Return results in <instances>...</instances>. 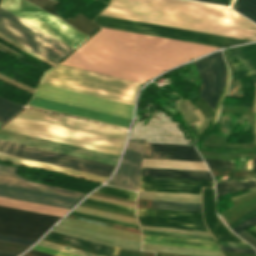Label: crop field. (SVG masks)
<instances>
[{
  "label": "crop field",
  "mask_w": 256,
  "mask_h": 256,
  "mask_svg": "<svg viewBox=\"0 0 256 256\" xmlns=\"http://www.w3.org/2000/svg\"><path fill=\"white\" fill-rule=\"evenodd\" d=\"M141 231L143 234H148V235L170 236V237L214 242L212 237H206V236H196V235H186V234H176V233H166V232H156V231H146V230H141Z\"/></svg>",
  "instance_id": "028f5c9d"
},
{
  "label": "crop field",
  "mask_w": 256,
  "mask_h": 256,
  "mask_svg": "<svg viewBox=\"0 0 256 256\" xmlns=\"http://www.w3.org/2000/svg\"><path fill=\"white\" fill-rule=\"evenodd\" d=\"M150 208L201 213L200 204L151 200Z\"/></svg>",
  "instance_id": "750c4746"
},
{
  "label": "crop field",
  "mask_w": 256,
  "mask_h": 256,
  "mask_svg": "<svg viewBox=\"0 0 256 256\" xmlns=\"http://www.w3.org/2000/svg\"><path fill=\"white\" fill-rule=\"evenodd\" d=\"M27 254H31V255H35V256H52V255L44 254V253L33 251V250L27 252Z\"/></svg>",
  "instance_id": "9d1cf04e"
},
{
  "label": "crop field",
  "mask_w": 256,
  "mask_h": 256,
  "mask_svg": "<svg viewBox=\"0 0 256 256\" xmlns=\"http://www.w3.org/2000/svg\"><path fill=\"white\" fill-rule=\"evenodd\" d=\"M216 242L218 243V245H223V246H233V247L253 249L248 244H243V243H235V242H227V241H219V240H216Z\"/></svg>",
  "instance_id": "25e5ab78"
},
{
  "label": "crop field",
  "mask_w": 256,
  "mask_h": 256,
  "mask_svg": "<svg viewBox=\"0 0 256 256\" xmlns=\"http://www.w3.org/2000/svg\"><path fill=\"white\" fill-rule=\"evenodd\" d=\"M144 158L176 159L202 162L194 146L146 143Z\"/></svg>",
  "instance_id": "214f88e0"
},
{
  "label": "crop field",
  "mask_w": 256,
  "mask_h": 256,
  "mask_svg": "<svg viewBox=\"0 0 256 256\" xmlns=\"http://www.w3.org/2000/svg\"><path fill=\"white\" fill-rule=\"evenodd\" d=\"M28 1H30L31 3L42 8L43 10L47 11L48 13L59 18L60 20L64 21L65 23L71 25L72 27L76 28L77 30L83 32L88 36L92 34L96 29L99 28V25L95 24L94 22L84 17L80 13L72 19H68V20L62 19L56 14L54 6L59 2L55 0H28Z\"/></svg>",
  "instance_id": "92a150f3"
},
{
  "label": "crop field",
  "mask_w": 256,
  "mask_h": 256,
  "mask_svg": "<svg viewBox=\"0 0 256 256\" xmlns=\"http://www.w3.org/2000/svg\"><path fill=\"white\" fill-rule=\"evenodd\" d=\"M254 121H256V113H255V116H254Z\"/></svg>",
  "instance_id": "0f1d7ab4"
},
{
  "label": "crop field",
  "mask_w": 256,
  "mask_h": 256,
  "mask_svg": "<svg viewBox=\"0 0 256 256\" xmlns=\"http://www.w3.org/2000/svg\"><path fill=\"white\" fill-rule=\"evenodd\" d=\"M0 152L108 177L113 166L0 139Z\"/></svg>",
  "instance_id": "5a996713"
},
{
  "label": "crop field",
  "mask_w": 256,
  "mask_h": 256,
  "mask_svg": "<svg viewBox=\"0 0 256 256\" xmlns=\"http://www.w3.org/2000/svg\"><path fill=\"white\" fill-rule=\"evenodd\" d=\"M140 224L208 232L202 214L159 209H137Z\"/></svg>",
  "instance_id": "22f410ed"
},
{
  "label": "crop field",
  "mask_w": 256,
  "mask_h": 256,
  "mask_svg": "<svg viewBox=\"0 0 256 256\" xmlns=\"http://www.w3.org/2000/svg\"><path fill=\"white\" fill-rule=\"evenodd\" d=\"M17 255H18V253H12V252L0 250V256H17Z\"/></svg>",
  "instance_id": "447ae74e"
},
{
  "label": "crop field",
  "mask_w": 256,
  "mask_h": 256,
  "mask_svg": "<svg viewBox=\"0 0 256 256\" xmlns=\"http://www.w3.org/2000/svg\"><path fill=\"white\" fill-rule=\"evenodd\" d=\"M254 168H256V156H255Z\"/></svg>",
  "instance_id": "db79e9e6"
},
{
  "label": "crop field",
  "mask_w": 256,
  "mask_h": 256,
  "mask_svg": "<svg viewBox=\"0 0 256 256\" xmlns=\"http://www.w3.org/2000/svg\"><path fill=\"white\" fill-rule=\"evenodd\" d=\"M203 159L205 160L208 167L232 169V160L207 159V158H203Z\"/></svg>",
  "instance_id": "b54c1fbb"
},
{
  "label": "crop field",
  "mask_w": 256,
  "mask_h": 256,
  "mask_svg": "<svg viewBox=\"0 0 256 256\" xmlns=\"http://www.w3.org/2000/svg\"><path fill=\"white\" fill-rule=\"evenodd\" d=\"M28 247H29L28 245L17 244V243L0 240V249L2 250L21 253L22 251L26 250Z\"/></svg>",
  "instance_id": "03da06ac"
},
{
  "label": "crop field",
  "mask_w": 256,
  "mask_h": 256,
  "mask_svg": "<svg viewBox=\"0 0 256 256\" xmlns=\"http://www.w3.org/2000/svg\"><path fill=\"white\" fill-rule=\"evenodd\" d=\"M254 174H255V176H256V169H254Z\"/></svg>",
  "instance_id": "ae633e8c"
},
{
  "label": "crop field",
  "mask_w": 256,
  "mask_h": 256,
  "mask_svg": "<svg viewBox=\"0 0 256 256\" xmlns=\"http://www.w3.org/2000/svg\"><path fill=\"white\" fill-rule=\"evenodd\" d=\"M83 202L88 203V204H93V205H97V206H102V207H106V208H111V209L120 210V211L135 214V209L129 208V207L115 205V204L102 202V201H98V200H93V199H89V198H86Z\"/></svg>",
  "instance_id": "0bd39190"
},
{
  "label": "crop field",
  "mask_w": 256,
  "mask_h": 256,
  "mask_svg": "<svg viewBox=\"0 0 256 256\" xmlns=\"http://www.w3.org/2000/svg\"><path fill=\"white\" fill-rule=\"evenodd\" d=\"M0 7L73 48L88 37L26 0H2Z\"/></svg>",
  "instance_id": "d8731c3e"
},
{
  "label": "crop field",
  "mask_w": 256,
  "mask_h": 256,
  "mask_svg": "<svg viewBox=\"0 0 256 256\" xmlns=\"http://www.w3.org/2000/svg\"><path fill=\"white\" fill-rule=\"evenodd\" d=\"M78 207H79V208L88 209V210H93V211L103 212V211L94 210V209H90V208H85V207H81V206H78ZM79 208H76V209H79ZM76 209H74V210H75V211H79V212L88 211V210L80 211V210H83V209H80V210H76ZM93 211H89V212H93ZM98 212H93V213H98ZM84 213H88V212H84ZM93 213H88V214L97 215V216H101V217H106V218H110V219L119 220V221L128 222V223H132V224H136V225H138L137 223L129 222V221H134V220H136V219H134V218H130V217H125V216L117 215V216H121V217L129 218V219H134V220L125 219V220H129V221H125V220H120V219H124V218H120V217H116V216L108 215V214H112V213L103 214V213H107V212H103V213H98V214L107 215V216H111V217H116V218H120V219L111 218V217L102 216V215L93 214ZM113 215H116V214H113ZM135 222H137V221H135Z\"/></svg>",
  "instance_id": "d23c7cc5"
},
{
  "label": "crop field",
  "mask_w": 256,
  "mask_h": 256,
  "mask_svg": "<svg viewBox=\"0 0 256 256\" xmlns=\"http://www.w3.org/2000/svg\"><path fill=\"white\" fill-rule=\"evenodd\" d=\"M46 237H50V238L58 239L61 241L69 242L72 244L95 249L98 251L110 253V254H113L116 256H117L118 250H119L117 248H113V247H109V246H105V245H101V244H97V243H93V242H89V241H84V240H80V239H76V238H72V237H68V236H64V235H60V234H56V233H52V232H49L46 235Z\"/></svg>",
  "instance_id": "ae1a2a85"
},
{
  "label": "crop field",
  "mask_w": 256,
  "mask_h": 256,
  "mask_svg": "<svg viewBox=\"0 0 256 256\" xmlns=\"http://www.w3.org/2000/svg\"><path fill=\"white\" fill-rule=\"evenodd\" d=\"M157 256H171V255H161V254H157Z\"/></svg>",
  "instance_id": "7b73153f"
},
{
  "label": "crop field",
  "mask_w": 256,
  "mask_h": 256,
  "mask_svg": "<svg viewBox=\"0 0 256 256\" xmlns=\"http://www.w3.org/2000/svg\"><path fill=\"white\" fill-rule=\"evenodd\" d=\"M70 214L71 215H75V216H80V217H84V218H89V219H93V220H98V221H102V222H107V223H111V224H116V225L125 226V227H129V228H134V229L140 230L139 227L136 226V225L127 224V223H123V222H119V221L105 219V218H101V217H97V216H92V215H88V214H83V213H79V212H75V211H72Z\"/></svg>",
  "instance_id": "c035e120"
},
{
  "label": "crop field",
  "mask_w": 256,
  "mask_h": 256,
  "mask_svg": "<svg viewBox=\"0 0 256 256\" xmlns=\"http://www.w3.org/2000/svg\"><path fill=\"white\" fill-rule=\"evenodd\" d=\"M0 138L114 165L116 156L0 129Z\"/></svg>",
  "instance_id": "cbeb9de0"
},
{
  "label": "crop field",
  "mask_w": 256,
  "mask_h": 256,
  "mask_svg": "<svg viewBox=\"0 0 256 256\" xmlns=\"http://www.w3.org/2000/svg\"><path fill=\"white\" fill-rule=\"evenodd\" d=\"M232 78L253 76L256 82V43L223 50Z\"/></svg>",
  "instance_id": "d9b57169"
},
{
  "label": "crop field",
  "mask_w": 256,
  "mask_h": 256,
  "mask_svg": "<svg viewBox=\"0 0 256 256\" xmlns=\"http://www.w3.org/2000/svg\"><path fill=\"white\" fill-rule=\"evenodd\" d=\"M143 161L165 162V163L204 164V163H196V162L166 161V160H151V159H144ZM165 163H149V162H143V164H151V165H178V166H192V167H203V168H206L205 165L165 164ZM151 165H143V166L207 171V169H202V168L177 167V166H151Z\"/></svg>",
  "instance_id": "120bbe31"
},
{
  "label": "crop field",
  "mask_w": 256,
  "mask_h": 256,
  "mask_svg": "<svg viewBox=\"0 0 256 256\" xmlns=\"http://www.w3.org/2000/svg\"><path fill=\"white\" fill-rule=\"evenodd\" d=\"M10 101V100H9ZM0 97V122L3 123L23 107Z\"/></svg>",
  "instance_id": "d32e631a"
},
{
  "label": "crop field",
  "mask_w": 256,
  "mask_h": 256,
  "mask_svg": "<svg viewBox=\"0 0 256 256\" xmlns=\"http://www.w3.org/2000/svg\"><path fill=\"white\" fill-rule=\"evenodd\" d=\"M194 64L203 80L199 97L214 110L226 81L225 62L221 53L217 52L194 61Z\"/></svg>",
  "instance_id": "d1516ede"
},
{
  "label": "crop field",
  "mask_w": 256,
  "mask_h": 256,
  "mask_svg": "<svg viewBox=\"0 0 256 256\" xmlns=\"http://www.w3.org/2000/svg\"><path fill=\"white\" fill-rule=\"evenodd\" d=\"M141 228H145V227H141ZM154 228V227H153ZM153 228H147V229H153ZM146 229V230H147ZM161 229H164V228H161ZM161 229H158V230H161ZM169 230H174V229H169ZM168 230V231H169ZM157 231V230H156ZM168 231H166V232H168ZM179 231H184V230H179ZM190 232H194V231H190ZM176 233H179V232H176ZM204 233V232H203ZM186 234H189V233H186ZM200 234H202V233H200ZM200 234H196V235H200ZM208 235H210V234H208ZM208 235H206V236H208Z\"/></svg>",
  "instance_id": "0765c3eb"
},
{
  "label": "crop field",
  "mask_w": 256,
  "mask_h": 256,
  "mask_svg": "<svg viewBox=\"0 0 256 256\" xmlns=\"http://www.w3.org/2000/svg\"><path fill=\"white\" fill-rule=\"evenodd\" d=\"M255 132H256V122H254Z\"/></svg>",
  "instance_id": "78b8030e"
},
{
  "label": "crop field",
  "mask_w": 256,
  "mask_h": 256,
  "mask_svg": "<svg viewBox=\"0 0 256 256\" xmlns=\"http://www.w3.org/2000/svg\"><path fill=\"white\" fill-rule=\"evenodd\" d=\"M90 198H95V199H100V200H105V201H111V202H116V203H121V204H126V205H131V206H135V205H133V204H129V203H124V202H120V201H115V200H111V199H106V198H102V197H97V196H93V195H90L89 196ZM115 203V204H116ZM120 204V205H121ZM126 205H124V206H126ZM131 206H129V207H131ZM134 208V207H133Z\"/></svg>",
  "instance_id": "0fb4a251"
},
{
  "label": "crop field",
  "mask_w": 256,
  "mask_h": 256,
  "mask_svg": "<svg viewBox=\"0 0 256 256\" xmlns=\"http://www.w3.org/2000/svg\"><path fill=\"white\" fill-rule=\"evenodd\" d=\"M217 47L103 29L61 64L144 83Z\"/></svg>",
  "instance_id": "8a807250"
},
{
  "label": "crop field",
  "mask_w": 256,
  "mask_h": 256,
  "mask_svg": "<svg viewBox=\"0 0 256 256\" xmlns=\"http://www.w3.org/2000/svg\"><path fill=\"white\" fill-rule=\"evenodd\" d=\"M197 1L209 2L214 4L226 5V6L230 5L229 2H223V1H217V0H197Z\"/></svg>",
  "instance_id": "1d79db26"
},
{
  "label": "crop field",
  "mask_w": 256,
  "mask_h": 256,
  "mask_svg": "<svg viewBox=\"0 0 256 256\" xmlns=\"http://www.w3.org/2000/svg\"><path fill=\"white\" fill-rule=\"evenodd\" d=\"M38 245L50 247V248H53V249H57V250H61V251H64V252L76 254V255H79V256H96V255H93V254H89V253H86V252L78 251V250H75V249H71V248H68V247H64V246L57 245V244H54V243H50V242L43 241V240H41L38 243Z\"/></svg>",
  "instance_id": "c21b1889"
},
{
  "label": "crop field",
  "mask_w": 256,
  "mask_h": 256,
  "mask_svg": "<svg viewBox=\"0 0 256 256\" xmlns=\"http://www.w3.org/2000/svg\"><path fill=\"white\" fill-rule=\"evenodd\" d=\"M255 112H256V103H255Z\"/></svg>",
  "instance_id": "c39391a2"
},
{
  "label": "crop field",
  "mask_w": 256,
  "mask_h": 256,
  "mask_svg": "<svg viewBox=\"0 0 256 256\" xmlns=\"http://www.w3.org/2000/svg\"><path fill=\"white\" fill-rule=\"evenodd\" d=\"M29 104L38 106V107L55 110V111L68 113V114H73V115H77V116H81V117H86V118H90V119H94V120H99V121H103V122H107V123H111V124H116V125H120V126H124V127L127 126V123L129 120V119L120 118V117H116V116H112V115H107V114L90 111V110H86V109H82V108H77V107H73V106H69V105H65V104L47 101V100H43V99H39V98H35V97L32 98V100ZM30 105H27V106L37 108V109L46 110V111H51V110H47V109H43V108L30 106ZM55 111H51V112H55ZM60 112H55V113L64 114V113H60ZM68 114H64V115H68ZM73 115H68V116H72V117H76V118H80V119H84V120H88V121H92V122H97V123H101V124L111 125V124L94 121V120H90V119H86V118H81V117H77V116H73ZM116 125H111V126L120 127V126H116ZM124 127H120V128H124ZM124 129H127V128H124Z\"/></svg>",
  "instance_id": "4a817a6b"
},
{
  "label": "crop field",
  "mask_w": 256,
  "mask_h": 256,
  "mask_svg": "<svg viewBox=\"0 0 256 256\" xmlns=\"http://www.w3.org/2000/svg\"><path fill=\"white\" fill-rule=\"evenodd\" d=\"M105 6L102 1L92 0L80 13L92 20Z\"/></svg>",
  "instance_id": "5866460e"
},
{
  "label": "crop field",
  "mask_w": 256,
  "mask_h": 256,
  "mask_svg": "<svg viewBox=\"0 0 256 256\" xmlns=\"http://www.w3.org/2000/svg\"><path fill=\"white\" fill-rule=\"evenodd\" d=\"M55 229H59V230H63V231H67V232H71V233H75V234H79V235H83V236H87V237H93V234L92 232H88V231H83V230H78V229H74V228H69V227H64V226H60V225H57L56 227H54ZM54 230V229H53ZM51 230L52 232H56V233H60V234H64V235H68V236H73V235H69V234H65V233H61V232H57V231H53ZM94 235L96 236H100V237H104V238H108V239H112V240H116V241H119V243L117 244V247L118 248H126V249H136V250H140V246H141V243L139 242H134V241H130V240H125V239H120V238H116V237H111V236H106V235H102V234H97L95 233ZM78 236V235H77ZM77 236H73V237H77ZM94 236L95 238H99V239H103V240H107V241H111V242H115L117 243L116 241H112V240H108V239H104V238H100V237H96ZM82 237V236H81ZM81 237H77V238H81ZM86 238V237H85ZM85 238H81V239H85ZM90 239V238H89ZM89 239H85V240H89ZM91 241V240H89ZM99 243V242H98ZM104 244V243H102ZM106 245H109V244H106ZM110 246H114V245H110ZM116 247V246H114Z\"/></svg>",
  "instance_id": "4177f3b9"
},
{
  "label": "crop field",
  "mask_w": 256,
  "mask_h": 256,
  "mask_svg": "<svg viewBox=\"0 0 256 256\" xmlns=\"http://www.w3.org/2000/svg\"><path fill=\"white\" fill-rule=\"evenodd\" d=\"M17 168L0 165V196L71 209L85 195L30 182L15 173Z\"/></svg>",
  "instance_id": "f4fd0767"
},
{
  "label": "crop field",
  "mask_w": 256,
  "mask_h": 256,
  "mask_svg": "<svg viewBox=\"0 0 256 256\" xmlns=\"http://www.w3.org/2000/svg\"><path fill=\"white\" fill-rule=\"evenodd\" d=\"M40 83L134 105L141 84L61 64L46 71Z\"/></svg>",
  "instance_id": "412701ff"
},
{
  "label": "crop field",
  "mask_w": 256,
  "mask_h": 256,
  "mask_svg": "<svg viewBox=\"0 0 256 256\" xmlns=\"http://www.w3.org/2000/svg\"><path fill=\"white\" fill-rule=\"evenodd\" d=\"M0 205L63 216L68 209L0 197Z\"/></svg>",
  "instance_id": "730fd06b"
},
{
  "label": "crop field",
  "mask_w": 256,
  "mask_h": 256,
  "mask_svg": "<svg viewBox=\"0 0 256 256\" xmlns=\"http://www.w3.org/2000/svg\"><path fill=\"white\" fill-rule=\"evenodd\" d=\"M219 247L221 248V250L237 251V252H245V253L256 254L254 250H249V249H240V248L223 247V246H219Z\"/></svg>",
  "instance_id": "dbb93151"
},
{
  "label": "crop field",
  "mask_w": 256,
  "mask_h": 256,
  "mask_svg": "<svg viewBox=\"0 0 256 256\" xmlns=\"http://www.w3.org/2000/svg\"><path fill=\"white\" fill-rule=\"evenodd\" d=\"M0 32L55 64L73 49L2 8Z\"/></svg>",
  "instance_id": "dd49c442"
},
{
  "label": "crop field",
  "mask_w": 256,
  "mask_h": 256,
  "mask_svg": "<svg viewBox=\"0 0 256 256\" xmlns=\"http://www.w3.org/2000/svg\"><path fill=\"white\" fill-rule=\"evenodd\" d=\"M3 129L119 155L126 131L26 108Z\"/></svg>",
  "instance_id": "34b2d1b8"
},
{
  "label": "crop field",
  "mask_w": 256,
  "mask_h": 256,
  "mask_svg": "<svg viewBox=\"0 0 256 256\" xmlns=\"http://www.w3.org/2000/svg\"><path fill=\"white\" fill-rule=\"evenodd\" d=\"M139 192L152 193V196H158V197H176V198H196V199H200V195H193V194H177V193L146 192V191H139ZM138 195L151 196V194H144V193H138ZM137 198L154 199L155 197H141V196H138ZM176 198H157L156 197L155 199L175 200V201H185V202L200 203V200H195V199H176Z\"/></svg>",
  "instance_id": "1d83c4d3"
},
{
  "label": "crop field",
  "mask_w": 256,
  "mask_h": 256,
  "mask_svg": "<svg viewBox=\"0 0 256 256\" xmlns=\"http://www.w3.org/2000/svg\"><path fill=\"white\" fill-rule=\"evenodd\" d=\"M35 97L130 118L133 106L39 84Z\"/></svg>",
  "instance_id": "28ad6ade"
},
{
  "label": "crop field",
  "mask_w": 256,
  "mask_h": 256,
  "mask_svg": "<svg viewBox=\"0 0 256 256\" xmlns=\"http://www.w3.org/2000/svg\"><path fill=\"white\" fill-rule=\"evenodd\" d=\"M94 22L104 28L165 37L219 47L230 46L239 43L251 42L228 37L210 35L205 33L187 31L182 29L170 28L165 26L147 24L142 22L124 20L119 18L98 15Z\"/></svg>",
  "instance_id": "e52e79f7"
},
{
  "label": "crop field",
  "mask_w": 256,
  "mask_h": 256,
  "mask_svg": "<svg viewBox=\"0 0 256 256\" xmlns=\"http://www.w3.org/2000/svg\"><path fill=\"white\" fill-rule=\"evenodd\" d=\"M142 250L193 256H223L221 252L143 243Z\"/></svg>",
  "instance_id": "eef30255"
},
{
  "label": "crop field",
  "mask_w": 256,
  "mask_h": 256,
  "mask_svg": "<svg viewBox=\"0 0 256 256\" xmlns=\"http://www.w3.org/2000/svg\"><path fill=\"white\" fill-rule=\"evenodd\" d=\"M101 15L256 40V25L220 6L186 0H111Z\"/></svg>",
  "instance_id": "ac0d7876"
},
{
  "label": "crop field",
  "mask_w": 256,
  "mask_h": 256,
  "mask_svg": "<svg viewBox=\"0 0 256 256\" xmlns=\"http://www.w3.org/2000/svg\"><path fill=\"white\" fill-rule=\"evenodd\" d=\"M213 181L141 176L139 190L201 194Z\"/></svg>",
  "instance_id": "733c2abd"
},
{
  "label": "crop field",
  "mask_w": 256,
  "mask_h": 256,
  "mask_svg": "<svg viewBox=\"0 0 256 256\" xmlns=\"http://www.w3.org/2000/svg\"><path fill=\"white\" fill-rule=\"evenodd\" d=\"M0 159L10 161L11 163H14V164L51 170V171H55V172H59V173L87 179V180H92V181H96V182H100V183H103L104 180L106 179L105 177H101V176H97V175H92V174H88V173H84V172H79V171H75V170H71V169H66V168H62V167H58V166H53V165L40 163V162L27 160V159H23V158H19V157H14V156L1 154V153H0Z\"/></svg>",
  "instance_id": "dafd665d"
},
{
  "label": "crop field",
  "mask_w": 256,
  "mask_h": 256,
  "mask_svg": "<svg viewBox=\"0 0 256 256\" xmlns=\"http://www.w3.org/2000/svg\"><path fill=\"white\" fill-rule=\"evenodd\" d=\"M238 236H240L256 248V238L252 237L251 234L247 233L246 231H242L241 233H239Z\"/></svg>",
  "instance_id": "89e229c0"
},
{
  "label": "crop field",
  "mask_w": 256,
  "mask_h": 256,
  "mask_svg": "<svg viewBox=\"0 0 256 256\" xmlns=\"http://www.w3.org/2000/svg\"><path fill=\"white\" fill-rule=\"evenodd\" d=\"M67 221V220H66ZM66 221H61V222H64V223H68V224H73V225H78V226H82V227H87V226H83V225H79V224H74V223H70V222H66ZM64 223H59L60 225H65V226H69V227H74V228H79V229H83V230H88V231H93V232H97V233H102V234H107V235H111V236H116V237H121V238H125V239H130V240H135V241H139V242H141L140 240H141V238H139V237H134V236H129V235H124V234H120V233H115V232H110V231H105V230H101V231H105V232H110V233H115V234H119V235H124V236H129V237H133V238H137V239H140V240H137V239H133V238H129V237H124V236H119V235H115V234H110V233H105V232H101V231H96V230H100V229H96V228H92V227H87V228H92V229H96V230H92V229H87V228H82V227H78V226H73V225H68V224H64ZM111 230V229H110ZM116 231V230H115ZM119 232H121V231H119ZM123 233H126V232H123ZM128 234H130V233H128ZM132 235H135V234H132ZM139 236V235H138Z\"/></svg>",
  "instance_id": "b80d0937"
},
{
  "label": "crop field",
  "mask_w": 256,
  "mask_h": 256,
  "mask_svg": "<svg viewBox=\"0 0 256 256\" xmlns=\"http://www.w3.org/2000/svg\"><path fill=\"white\" fill-rule=\"evenodd\" d=\"M141 175L212 180L209 172L143 167Z\"/></svg>",
  "instance_id": "a9b5d70f"
},
{
  "label": "crop field",
  "mask_w": 256,
  "mask_h": 256,
  "mask_svg": "<svg viewBox=\"0 0 256 256\" xmlns=\"http://www.w3.org/2000/svg\"><path fill=\"white\" fill-rule=\"evenodd\" d=\"M255 144H256V133H255Z\"/></svg>",
  "instance_id": "d14b1444"
},
{
  "label": "crop field",
  "mask_w": 256,
  "mask_h": 256,
  "mask_svg": "<svg viewBox=\"0 0 256 256\" xmlns=\"http://www.w3.org/2000/svg\"><path fill=\"white\" fill-rule=\"evenodd\" d=\"M215 192L213 188H203V214L204 222L214 239L243 242L229 231L219 220L214 209Z\"/></svg>",
  "instance_id": "bc2a9ffb"
},
{
  "label": "crop field",
  "mask_w": 256,
  "mask_h": 256,
  "mask_svg": "<svg viewBox=\"0 0 256 256\" xmlns=\"http://www.w3.org/2000/svg\"><path fill=\"white\" fill-rule=\"evenodd\" d=\"M217 196L229 194L244 189L256 187V179L242 180V181H225L216 183Z\"/></svg>",
  "instance_id": "d3111659"
},
{
  "label": "crop field",
  "mask_w": 256,
  "mask_h": 256,
  "mask_svg": "<svg viewBox=\"0 0 256 256\" xmlns=\"http://www.w3.org/2000/svg\"><path fill=\"white\" fill-rule=\"evenodd\" d=\"M143 242L219 251L215 243L170 237L143 235Z\"/></svg>",
  "instance_id": "00972430"
},
{
  "label": "crop field",
  "mask_w": 256,
  "mask_h": 256,
  "mask_svg": "<svg viewBox=\"0 0 256 256\" xmlns=\"http://www.w3.org/2000/svg\"><path fill=\"white\" fill-rule=\"evenodd\" d=\"M23 256H25V255H23Z\"/></svg>",
  "instance_id": "ade564c9"
},
{
  "label": "crop field",
  "mask_w": 256,
  "mask_h": 256,
  "mask_svg": "<svg viewBox=\"0 0 256 256\" xmlns=\"http://www.w3.org/2000/svg\"><path fill=\"white\" fill-rule=\"evenodd\" d=\"M0 38L5 40V41H7V42H9V43H11L12 45H14V46H16L18 48L26 51L27 53H29V54L39 58L40 60H42V61H44V62H46V63H48V64H50L52 66L55 65V64L51 63L50 61L44 59L43 57L39 56L38 54H36V53L32 52L31 50L27 49L26 47L22 46L21 44H19V43L15 42L14 40L10 39L9 37L5 36L2 33H0Z\"/></svg>",
  "instance_id": "5d738f31"
},
{
  "label": "crop field",
  "mask_w": 256,
  "mask_h": 256,
  "mask_svg": "<svg viewBox=\"0 0 256 256\" xmlns=\"http://www.w3.org/2000/svg\"><path fill=\"white\" fill-rule=\"evenodd\" d=\"M33 249H37V250L44 251V252H47V253H51V254L58 255V256H75V255H72V254L64 253V252H61V251L49 249V248L38 246V245L33 247Z\"/></svg>",
  "instance_id": "425ffa30"
},
{
  "label": "crop field",
  "mask_w": 256,
  "mask_h": 256,
  "mask_svg": "<svg viewBox=\"0 0 256 256\" xmlns=\"http://www.w3.org/2000/svg\"><path fill=\"white\" fill-rule=\"evenodd\" d=\"M96 192H101L105 194L115 195L119 197L129 198L135 200L136 192L123 190L119 188L109 187V186H103L96 190Z\"/></svg>",
  "instance_id": "e1f06a70"
},
{
  "label": "crop field",
  "mask_w": 256,
  "mask_h": 256,
  "mask_svg": "<svg viewBox=\"0 0 256 256\" xmlns=\"http://www.w3.org/2000/svg\"><path fill=\"white\" fill-rule=\"evenodd\" d=\"M223 1H229V2H232V0H223Z\"/></svg>",
  "instance_id": "e1d0b9f6"
},
{
  "label": "crop field",
  "mask_w": 256,
  "mask_h": 256,
  "mask_svg": "<svg viewBox=\"0 0 256 256\" xmlns=\"http://www.w3.org/2000/svg\"><path fill=\"white\" fill-rule=\"evenodd\" d=\"M145 140H129L120 166L109 185L137 190Z\"/></svg>",
  "instance_id": "5142ce71"
},
{
  "label": "crop field",
  "mask_w": 256,
  "mask_h": 256,
  "mask_svg": "<svg viewBox=\"0 0 256 256\" xmlns=\"http://www.w3.org/2000/svg\"><path fill=\"white\" fill-rule=\"evenodd\" d=\"M0 239L7 240V241L18 242V243H23V244H29V245L34 243L33 241H27V240L11 238V237L1 236V235H0Z\"/></svg>",
  "instance_id": "1f2cbd36"
},
{
  "label": "crop field",
  "mask_w": 256,
  "mask_h": 256,
  "mask_svg": "<svg viewBox=\"0 0 256 256\" xmlns=\"http://www.w3.org/2000/svg\"><path fill=\"white\" fill-rule=\"evenodd\" d=\"M59 218V216L0 206V234L37 241Z\"/></svg>",
  "instance_id": "3316defc"
},
{
  "label": "crop field",
  "mask_w": 256,
  "mask_h": 256,
  "mask_svg": "<svg viewBox=\"0 0 256 256\" xmlns=\"http://www.w3.org/2000/svg\"><path fill=\"white\" fill-rule=\"evenodd\" d=\"M256 224V216L251 218L250 220L242 223L238 227L234 228L233 231H235L237 234L242 231L243 229L247 228L250 225Z\"/></svg>",
  "instance_id": "73cf0c24"
},
{
  "label": "crop field",
  "mask_w": 256,
  "mask_h": 256,
  "mask_svg": "<svg viewBox=\"0 0 256 256\" xmlns=\"http://www.w3.org/2000/svg\"><path fill=\"white\" fill-rule=\"evenodd\" d=\"M231 8L256 23V0H235Z\"/></svg>",
  "instance_id": "bd1437ed"
}]
</instances>
